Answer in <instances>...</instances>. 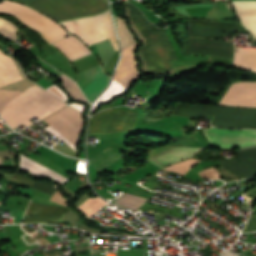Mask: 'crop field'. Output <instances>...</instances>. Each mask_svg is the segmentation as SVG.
Instances as JSON below:
<instances>
[{"label":"crop field","mask_w":256,"mask_h":256,"mask_svg":"<svg viewBox=\"0 0 256 256\" xmlns=\"http://www.w3.org/2000/svg\"><path fill=\"white\" fill-rule=\"evenodd\" d=\"M19 78L21 74L12 58H8L0 50V87ZM35 85L23 90L1 112L0 115L13 129L21 124L27 126L32 123L30 118L37 115L41 119L65 105L51 93Z\"/></svg>","instance_id":"1"},{"label":"crop field","mask_w":256,"mask_h":256,"mask_svg":"<svg viewBox=\"0 0 256 256\" xmlns=\"http://www.w3.org/2000/svg\"><path fill=\"white\" fill-rule=\"evenodd\" d=\"M128 7L146 36L148 43L141 53L151 71L159 73L173 69L169 61L178 60L164 29H153L143 14L131 4Z\"/></svg>","instance_id":"2"},{"label":"crop field","mask_w":256,"mask_h":256,"mask_svg":"<svg viewBox=\"0 0 256 256\" xmlns=\"http://www.w3.org/2000/svg\"><path fill=\"white\" fill-rule=\"evenodd\" d=\"M173 113L187 116L213 115L214 126L256 129V109L177 104Z\"/></svg>","instance_id":"3"},{"label":"crop field","mask_w":256,"mask_h":256,"mask_svg":"<svg viewBox=\"0 0 256 256\" xmlns=\"http://www.w3.org/2000/svg\"><path fill=\"white\" fill-rule=\"evenodd\" d=\"M28 6L57 21L88 16L108 9L107 0H35Z\"/></svg>","instance_id":"4"},{"label":"crop field","mask_w":256,"mask_h":256,"mask_svg":"<svg viewBox=\"0 0 256 256\" xmlns=\"http://www.w3.org/2000/svg\"><path fill=\"white\" fill-rule=\"evenodd\" d=\"M60 24L71 34L79 36L87 46L109 38L114 49L118 50L109 10L98 15L61 22Z\"/></svg>","instance_id":"5"},{"label":"crop field","mask_w":256,"mask_h":256,"mask_svg":"<svg viewBox=\"0 0 256 256\" xmlns=\"http://www.w3.org/2000/svg\"><path fill=\"white\" fill-rule=\"evenodd\" d=\"M0 12L17 16L23 23L41 32L50 44L69 35L59 24L24 5L4 0L0 2Z\"/></svg>","instance_id":"6"},{"label":"crop field","mask_w":256,"mask_h":256,"mask_svg":"<svg viewBox=\"0 0 256 256\" xmlns=\"http://www.w3.org/2000/svg\"><path fill=\"white\" fill-rule=\"evenodd\" d=\"M138 114L121 110H105L90 118L88 134L132 130Z\"/></svg>","instance_id":"7"},{"label":"crop field","mask_w":256,"mask_h":256,"mask_svg":"<svg viewBox=\"0 0 256 256\" xmlns=\"http://www.w3.org/2000/svg\"><path fill=\"white\" fill-rule=\"evenodd\" d=\"M203 133L211 146L219 147H246L256 145V131L254 130H226L203 129Z\"/></svg>","instance_id":"8"},{"label":"crop field","mask_w":256,"mask_h":256,"mask_svg":"<svg viewBox=\"0 0 256 256\" xmlns=\"http://www.w3.org/2000/svg\"><path fill=\"white\" fill-rule=\"evenodd\" d=\"M43 120L62 133L73 144H77L83 124L81 113L66 106Z\"/></svg>","instance_id":"9"},{"label":"crop field","mask_w":256,"mask_h":256,"mask_svg":"<svg viewBox=\"0 0 256 256\" xmlns=\"http://www.w3.org/2000/svg\"><path fill=\"white\" fill-rule=\"evenodd\" d=\"M219 104L256 107V82H236L232 84Z\"/></svg>","instance_id":"10"},{"label":"crop field","mask_w":256,"mask_h":256,"mask_svg":"<svg viewBox=\"0 0 256 256\" xmlns=\"http://www.w3.org/2000/svg\"><path fill=\"white\" fill-rule=\"evenodd\" d=\"M202 148L164 146L151 150L148 161L163 168L198 153Z\"/></svg>","instance_id":"11"},{"label":"crop field","mask_w":256,"mask_h":256,"mask_svg":"<svg viewBox=\"0 0 256 256\" xmlns=\"http://www.w3.org/2000/svg\"><path fill=\"white\" fill-rule=\"evenodd\" d=\"M188 30L190 35L208 38H220L227 34L240 31L238 24L201 20L188 21Z\"/></svg>","instance_id":"12"},{"label":"crop field","mask_w":256,"mask_h":256,"mask_svg":"<svg viewBox=\"0 0 256 256\" xmlns=\"http://www.w3.org/2000/svg\"><path fill=\"white\" fill-rule=\"evenodd\" d=\"M79 75L83 80L77 81V84L90 102L103 90L110 79L103 73L100 65L80 72Z\"/></svg>","instance_id":"13"},{"label":"crop field","mask_w":256,"mask_h":256,"mask_svg":"<svg viewBox=\"0 0 256 256\" xmlns=\"http://www.w3.org/2000/svg\"><path fill=\"white\" fill-rule=\"evenodd\" d=\"M233 45L218 40H204L189 38L186 52L203 53L232 59Z\"/></svg>","instance_id":"14"},{"label":"crop field","mask_w":256,"mask_h":256,"mask_svg":"<svg viewBox=\"0 0 256 256\" xmlns=\"http://www.w3.org/2000/svg\"><path fill=\"white\" fill-rule=\"evenodd\" d=\"M68 208L46 206L31 202L26 213L24 222H48L56 224Z\"/></svg>","instance_id":"15"},{"label":"crop field","mask_w":256,"mask_h":256,"mask_svg":"<svg viewBox=\"0 0 256 256\" xmlns=\"http://www.w3.org/2000/svg\"><path fill=\"white\" fill-rule=\"evenodd\" d=\"M135 45L136 44L122 50L123 55L114 76V79L122 82L128 87L133 80L140 75V73L136 71V66L138 63L133 55Z\"/></svg>","instance_id":"16"},{"label":"crop field","mask_w":256,"mask_h":256,"mask_svg":"<svg viewBox=\"0 0 256 256\" xmlns=\"http://www.w3.org/2000/svg\"><path fill=\"white\" fill-rule=\"evenodd\" d=\"M235 11L242 25L247 28L256 40V1H233Z\"/></svg>","instance_id":"17"},{"label":"crop field","mask_w":256,"mask_h":256,"mask_svg":"<svg viewBox=\"0 0 256 256\" xmlns=\"http://www.w3.org/2000/svg\"><path fill=\"white\" fill-rule=\"evenodd\" d=\"M53 44L61 49L71 61L91 53L78 39L72 36L57 41Z\"/></svg>","instance_id":"18"},{"label":"crop field","mask_w":256,"mask_h":256,"mask_svg":"<svg viewBox=\"0 0 256 256\" xmlns=\"http://www.w3.org/2000/svg\"><path fill=\"white\" fill-rule=\"evenodd\" d=\"M19 168L27 170L37 176L48 175L60 183H65L68 179L60 176L59 174L41 166L40 164L22 156Z\"/></svg>","instance_id":"19"},{"label":"crop field","mask_w":256,"mask_h":256,"mask_svg":"<svg viewBox=\"0 0 256 256\" xmlns=\"http://www.w3.org/2000/svg\"><path fill=\"white\" fill-rule=\"evenodd\" d=\"M233 64L256 72V50L235 48Z\"/></svg>","instance_id":"20"},{"label":"crop field","mask_w":256,"mask_h":256,"mask_svg":"<svg viewBox=\"0 0 256 256\" xmlns=\"http://www.w3.org/2000/svg\"><path fill=\"white\" fill-rule=\"evenodd\" d=\"M221 168L227 170L239 178H247L256 175V172L236 159L222 161Z\"/></svg>","instance_id":"21"},{"label":"crop field","mask_w":256,"mask_h":256,"mask_svg":"<svg viewBox=\"0 0 256 256\" xmlns=\"http://www.w3.org/2000/svg\"><path fill=\"white\" fill-rule=\"evenodd\" d=\"M116 26L120 38L121 48H125L136 42L134 36L130 33L126 27V22L118 17H115Z\"/></svg>","instance_id":"22"},{"label":"crop field","mask_w":256,"mask_h":256,"mask_svg":"<svg viewBox=\"0 0 256 256\" xmlns=\"http://www.w3.org/2000/svg\"><path fill=\"white\" fill-rule=\"evenodd\" d=\"M148 200L142 197L129 195V194H123L119 199L115 201V203L122 205L130 210L135 211L140 206H142L145 202Z\"/></svg>","instance_id":"23"},{"label":"crop field","mask_w":256,"mask_h":256,"mask_svg":"<svg viewBox=\"0 0 256 256\" xmlns=\"http://www.w3.org/2000/svg\"><path fill=\"white\" fill-rule=\"evenodd\" d=\"M128 89L116 81H112L110 87L100 96V98L94 103L92 110L100 103L107 102L111 97L124 93ZM96 109V108H95Z\"/></svg>","instance_id":"24"},{"label":"crop field","mask_w":256,"mask_h":256,"mask_svg":"<svg viewBox=\"0 0 256 256\" xmlns=\"http://www.w3.org/2000/svg\"><path fill=\"white\" fill-rule=\"evenodd\" d=\"M59 78H60L63 86L69 92L72 99L82 101V102H86V100H85L84 96L82 95L80 89L78 88V86L71 79H69L68 77H66L64 75L59 77Z\"/></svg>","instance_id":"25"},{"label":"crop field","mask_w":256,"mask_h":256,"mask_svg":"<svg viewBox=\"0 0 256 256\" xmlns=\"http://www.w3.org/2000/svg\"><path fill=\"white\" fill-rule=\"evenodd\" d=\"M198 162H199L198 160H194V159L190 158L185 161H181L176 164L169 165L165 169L168 171H172V172H176V173L185 175L187 173V171Z\"/></svg>","instance_id":"26"},{"label":"crop field","mask_w":256,"mask_h":256,"mask_svg":"<svg viewBox=\"0 0 256 256\" xmlns=\"http://www.w3.org/2000/svg\"><path fill=\"white\" fill-rule=\"evenodd\" d=\"M238 159L242 160L244 163L256 170V147L241 150L239 152Z\"/></svg>","instance_id":"27"},{"label":"crop field","mask_w":256,"mask_h":256,"mask_svg":"<svg viewBox=\"0 0 256 256\" xmlns=\"http://www.w3.org/2000/svg\"><path fill=\"white\" fill-rule=\"evenodd\" d=\"M16 26L12 24L11 22L0 18V34L7 37L16 40L15 31Z\"/></svg>","instance_id":"28"},{"label":"crop field","mask_w":256,"mask_h":256,"mask_svg":"<svg viewBox=\"0 0 256 256\" xmlns=\"http://www.w3.org/2000/svg\"><path fill=\"white\" fill-rule=\"evenodd\" d=\"M20 91L2 90L0 89V111L4 105L10 101Z\"/></svg>","instance_id":"29"},{"label":"crop field","mask_w":256,"mask_h":256,"mask_svg":"<svg viewBox=\"0 0 256 256\" xmlns=\"http://www.w3.org/2000/svg\"><path fill=\"white\" fill-rule=\"evenodd\" d=\"M44 129H46L48 132H50L51 134H53L54 136L58 137L59 139H61L63 142H65L67 145H69L72 149H74L76 151L75 146L68 141L66 138H64L63 136H61L57 131H55L51 126H47Z\"/></svg>","instance_id":"30"},{"label":"crop field","mask_w":256,"mask_h":256,"mask_svg":"<svg viewBox=\"0 0 256 256\" xmlns=\"http://www.w3.org/2000/svg\"><path fill=\"white\" fill-rule=\"evenodd\" d=\"M199 173L202 175V177H205V178H214V179L221 178L216 169H209V170L201 171Z\"/></svg>","instance_id":"31"},{"label":"crop field","mask_w":256,"mask_h":256,"mask_svg":"<svg viewBox=\"0 0 256 256\" xmlns=\"http://www.w3.org/2000/svg\"><path fill=\"white\" fill-rule=\"evenodd\" d=\"M46 90H48L49 92H51L52 94L60 97L61 99H63L64 101L67 98V95L62 92L59 88H57L54 84H52L51 86H49Z\"/></svg>","instance_id":"32"},{"label":"crop field","mask_w":256,"mask_h":256,"mask_svg":"<svg viewBox=\"0 0 256 256\" xmlns=\"http://www.w3.org/2000/svg\"><path fill=\"white\" fill-rule=\"evenodd\" d=\"M252 230H256V213L253 214V216H252L249 224L247 225L246 229L244 230V232L252 231Z\"/></svg>","instance_id":"33"},{"label":"crop field","mask_w":256,"mask_h":256,"mask_svg":"<svg viewBox=\"0 0 256 256\" xmlns=\"http://www.w3.org/2000/svg\"><path fill=\"white\" fill-rule=\"evenodd\" d=\"M14 179L19 180V181L24 182V183H27L29 185H31L32 182H33L32 180H30L28 178H25V177H22V176L17 175V174L15 175Z\"/></svg>","instance_id":"34"},{"label":"crop field","mask_w":256,"mask_h":256,"mask_svg":"<svg viewBox=\"0 0 256 256\" xmlns=\"http://www.w3.org/2000/svg\"><path fill=\"white\" fill-rule=\"evenodd\" d=\"M69 105H71L72 107H74V108H76V109H78V110H80V111H83L84 105L76 104V103H71V104H69Z\"/></svg>","instance_id":"35"},{"label":"crop field","mask_w":256,"mask_h":256,"mask_svg":"<svg viewBox=\"0 0 256 256\" xmlns=\"http://www.w3.org/2000/svg\"><path fill=\"white\" fill-rule=\"evenodd\" d=\"M0 1H2V0H0ZM16 1L23 2V3L28 4V3H30V2L33 1V0H16Z\"/></svg>","instance_id":"36"},{"label":"crop field","mask_w":256,"mask_h":256,"mask_svg":"<svg viewBox=\"0 0 256 256\" xmlns=\"http://www.w3.org/2000/svg\"><path fill=\"white\" fill-rule=\"evenodd\" d=\"M0 163H1V161H0Z\"/></svg>","instance_id":"37"}]
</instances>
